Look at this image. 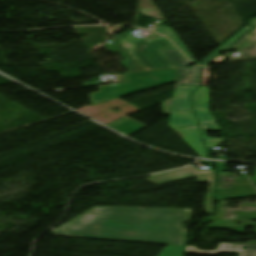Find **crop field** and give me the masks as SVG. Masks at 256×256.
Returning a JSON list of instances; mask_svg holds the SVG:
<instances>
[{"label": "crop field", "mask_w": 256, "mask_h": 256, "mask_svg": "<svg viewBox=\"0 0 256 256\" xmlns=\"http://www.w3.org/2000/svg\"><path fill=\"white\" fill-rule=\"evenodd\" d=\"M164 37L162 36H156V37H153L151 39H148V40H145V42H148V41H153V40H158V39H163Z\"/></svg>", "instance_id": "92a150f3"}, {"label": "crop field", "mask_w": 256, "mask_h": 256, "mask_svg": "<svg viewBox=\"0 0 256 256\" xmlns=\"http://www.w3.org/2000/svg\"><path fill=\"white\" fill-rule=\"evenodd\" d=\"M198 88L199 87L176 86L170 112L169 127L177 128L198 125L191 110L189 96V94L193 93ZM185 109H189L188 113H186Z\"/></svg>", "instance_id": "f4fd0767"}, {"label": "crop field", "mask_w": 256, "mask_h": 256, "mask_svg": "<svg viewBox=\"0 0 256 256\" xmlns=\"http://www.w3.org/2000/svg\"><path fill=\"white\" fill-rule=\"evenodd\" d=\"M120 43L128 50L129 53L131 52L132 46L129 43H127L123 39L120 40Z\"/></svg>", "instance_id": "214f88e0"}, {"label": "crop field", "mask_w": 256, "mask_h": 256, "mask_svg": "<svg viewBox=\"0 0 256 256\" xmlns=\"http://www.w3.org/2000/svg\"><path fill=\"white\" fill-rule=\"evenodd\" d=\"M113 46L121 54V56L126 59L125 61L121 62V64L128 71L144 70L120 43L114 44Z\"/></svg>", "instance_id": "28ad6ade"}, {"label": "crop field", "mask_w": 256, "mask_h": 256, "mask_svg": "<svg viewBox=\"0 0 256 256\" xmlns=\"http://www.w3.org/2000/svg\"><path fill=\"white\" fill-rule=\"evenodd\" d=\"M154 31L166 35L169 39H171L178 48L192 61L195 62V59L192 57V55L189 53V51L185 48V46L182 44V42L179 40V38L176 36V34L173 32L172 29L161 26Z\"/></svg>", "instance_id": "d1516ede"}, {"label": "crop field", "mask_w": 256, "mask_h": 256, "mask_svg": "<svg viewBox=\"0 0 256 256\" xmlns=\"http://www.w3.org/2000/svg\"><path fill=\"white\" fill-rule=\"evenodd\" d=\"M202 134L204 141L208 148H213L215 146H218L221 142H224L223 138L214 139V138H208L206 131H214V130H220L217 123L212 125H204L201 126Z\"/></svg>", "instance_id": "22f410ed"}, {"label": "crop field", "mask_w": 256, "mask_h": 256, "mask_svg": "<svg viewBox=\"0 0 256 256\" xmlns=\"http://www.w3.org/2000/svg\"><path fill=\"white\" fill-rule=\"evenodd\" d=\"M160 52L173 67H179L176 85L199 86V67L185 68L190 63L175 47Z\"/></svg>", "instance_id": "dd49c442"}, {"label": "crop field", "mask_w": 256, "mask_h": 256, "mask_svg": "<svg viewBox=\"0 0 256 256\" xmlns=\"http://www.w3.org/2000/svg\"><path fill=\"white\" fill-rule=\"evenodd\" d=\"M176 73L177 68L126 73L124 75L128 83L98 87L99 92L89 95L93 105L106 102L160 85L173 83L176 79Z\"/></svg>", "instance_id": "ac0d7876"}, {"label": "crop field", "mask_w": 256, "mask_h": 256, "mask_svg": "<svg viewBox=\"0 0 256 256\" xmlns=\"http://www.w3.org/2000/svg\"><path fill=\"white\" fill-rule=\"evenodd\" d=\"M191 210L94 207L62 225L56 235L183 246L180 224Z\"/></svg>", "instance_id": "8a807250"}, {"label": "crop field", "mask_w": 256, "mask_h": 256, "mask_svg": "<svg viewBox=\"0 0 256 256\" xmlns=\"http://www.w3.org/2000/svg\"><path fill=\"white\" fill-rule=\"evenodd\" d=\"M194 111L201 125L216 123L209 113V88L201 87L192 95Z\"/></svg>", "instance_id": "e52e79f7"}, {"label": "crop field", "mask_w": 256, "mask_h": 256, "mask_svg": "<svg viewBox=\"0 0 256 256\" xmlns=\"http://www.w3.org/2000/svg\"><path fill=\"white\" fill-rule=\"evenodd\" d=\"M247 246L245 250H242ZM223 252H239L238 256H256V245L220 243L214 251H199L194 246H187L185 253L215 255Z\"/></svg>", "instance_id": "d8731c3e"}, {"label": "crop field", "mask_w": 256, "mask_h": 256, "mask_svg": "<svg viewBox=\"0 0 256 256\" xmlns=\"http://www.w3.org/2000/svg\"><path fill=\"white\" fill-rule=\"evenodd\" d=\"M193 177H197V183L211 182L205 201H204V205L207 213H213L212 191H213V185H214V173L212 170L197 171L192 166V167H187L183 169H178V170H173V171L153 175L148 177L145 180L155 185H159L167 182L193 178Z\"/></svg>", "instance_id": "412701ff"}, {"label": "crop field", "mask_w": 256, "mask_h": 256, "mask_svg": "<svg viewBox=\"0 0 256 256\" xmlns=\"http://www.w3.org/2000/svg\"><path fill=\"white\" fill-rule=\"evenodd\" d=\"M183 247L166 246L157 256H181Z\"/></svg>", "instance_id": "d9b57169"}, {"label": "crop field", "mask_w": 256, "mask_h": 256, "mask_svg": "<svg viewBox=\"0 0 256 256\" xmlns=\"http://www.w3.org/2000/svg\"><path fill=\"white\" fill-rule=\"evenodd\" d=\"M238 51L244 60L256 59V36L243 47H241Z\"/></svg>", "instance_id": "cbeb9de0"}, {"label": "crop field", "mask_w": 256, "mask_h": 256, "mask_svg": "<svg viewBox=\"0 0 256 256\" xmlns=\"http://www.w3.org/2000/svg\"><path fill=\"white\" fill-rule=\"evenodd\" d=\"M251 27H245L240 32H238L235 36L225 42L222 46L216 49L213 53L207 56L204 60H202V66L206 67L213 59H215L218 55H220L223 51H225L228 47H230L235 41H237L241 36H243Z\"/></svg>", "instance_id": "3316defc"}, {"label": "crop field", "mask_w": 256, "mask_h": 256, "mask_svg": "<svg viewBox=\"0 0 256 256\" xmlns=\"http://www.w3.org/2000/svg\"><path fill=\"white\" fill-rule=\"evenodd\" d=\"M123 39L133 46L131 54L145 70L172 67L158 51L173 47L168 40L163 39L145 43L144 40L131 34Z\"/></svg>", "instance_id": "34b2d1b8"}, {"label": "crop field", "mask_w": 256, "mask_h": 256, "mask_svg": "<svg viewBox=\"0 0 256 256\" xmlns=\"http://www.w3.org/2000/svg\"><path fill=\"white\" fill-rule=\"evenodd\" d=\"M202 86H208V71L202 69Z\"/></svg>", "instance_id": "bc2a9ffb"}, {"label": "crop field", "mask_w": 256, "mask_h": 256, "mask_svg": "<svg viewBox=\"0 0 256 256\" xmlns=\"http://www.w3.org/2000/svg\"><path fill=\"white\" fill-rule=\"evenodd\" d=\"M173 130L199 157L209 158L201 142L197 126Z\"/></svg>", "instance_id": "5a996713"}, {"label": "crop field", "mask_w": 256, "mask_h": 256, "mask_svg": "<svg viewBox=\"0 0 256 256\" xmlns=\"http://www.w3.org/2000/svg\"><path fill=\"white\" fill-rule=\"evenodd\" d=\"M254 33H256V25L249 31L247 32L241 39H239L232 47L229 49L233 48H239L243 43H245ZM228 49V50H229Z\"/></svg>", "instance_id": "733c2abd"}, {"label": "crop field", "mask_w": 256, "mask_h": 256, "mask_svg": "<svg viewBox=\"0 0 256 256\" xmlns=\"http://www.w3.org/2000/svg\"><path fill=\"white\" fill-rule=\"evenodd\" d=\"M171 103H172V98L162 103L164 115L169 113Z\"/></svg>", "instance_id": "4a817a6b"}, {"label": "crop field", "mask_w": 256, "mask_h": 256, "mask_svg": "<svg viewBox=\"0 0 256 256\" xmlns=\"http://www.w3.org/2000/svg\"><path fill=\"white\" fill-rule=\"evenodd\" d=\"M139 6L146 16L154 17L155 19H161L156 13L153 7L150 5L149 0H140Z\"/></svg>", "instance_id": "5142ce71"}]
</instances>
